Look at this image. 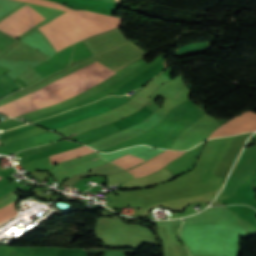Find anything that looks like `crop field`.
<instances>
[{"label": "crop field", "mask_w": 256, "mask_h": 256, "mask_svg": "<svg viewBox=\"0 0 256 256\" xmlns=\"http://www.w3.org/2000/svg\"><path fill=\"white\" fill-rule=\"evenodd\" d=\"M114 73L116 72L96 61L47 86L3 105L4 108L0 106L2 108L0 112L14 118L23 113L54 105L102 82Z\"/></svg>", "instance_id": "1"}, {"label": "crop field", "mask_w": 256, "mask_h": 256, "mask_svg": "<svg viewBox=\"0 0 256 256\" xmlns=\"http://www.w3.org/2000/svg\"><path fill=\"white\" fill-rule=\"evenodd\" d=\"M118 26L84 19L66 12L38 29L58 52L77 41Z\"/></svg>", "instance_id": "2"}, {"label": "crop field", "mask_w": 256, "mask_h": 256, "mask_svg": "<svg viewBox=\"0 0 256 256\" xmlns=\"http://www.w3.org/2000/svg\"><path fill=\"white\" fill-rule=\"evenodd\" d=\"M253 130H256V113L248 111L218 127L208 139Z\"/></svg>", "instance_id": "3"}, {"label": "crop field", "mask_w": 256, "mask_h": 256, "mask_svg": "<svg viewBox=\"0 0 256 256\" xmlns=\"http://www.w3.org/2000/svg\"><path fill=\"white\" fill-rule=\"evenodd\" d=\"M183 152L165 150L152 159L146 161V163L128 171L131 172L135 177L143 176L145 174L161 169L165 164L172 161Z\"/></svg>", "instance_id": "4"}, {"label": "crop field", "mask_w": 256, "mask_h": 256, "mask_svg": "<svg viewBox=\"0 0 256 256\" xmlns=\"http://www.w3.org/2000/svg\"><path fill=\"white\" fill-rule=\"evenodd\" d=\"M14 13H16L17 15H19L20 17H22L23 19H25L34 26L46 20L43 16L38 14L36 11L31 9L27 5ZM0 30L15 38L23 34L3 21L0 23Z\"/></svg>", "instance_id": "5"}, {"label": "crop field", "mask_w": 256, "mask_h": 256, "mask_svg": "<svg viewBox=\"0 0 256 256\" xmlns=\"http://www.w3.org/2000/svg\"><path fill=\"white\" fill-rule=\"evenodd\" d=\"M59 9L74 13L76 15H79L81 17H86V18H91L97 21H101V22H106V23H114V24H121L122 20L121 18H115V17H110V16H105V15H101L99 13H94V12H87V11H73L69 8H66L62 5L58 6Z\"/></svg>", "instance_id": "6"}, {"label": "crop field", "mask_w": 256, "mask_h": 256, "mask_svg": "<svg viewBox=\"0 0 256 256\" xmlns=\"http://www.w3.org/2000/svg\"><path fill=\"white\" fill-rule=\"evenodd\" d=\"M103 112H106V111H105L101 106H99V107H97V108L91 109V110L86 111V112L81 113V114H78V115L73 116V117H71V118H68V119H66V120L60 121V122L55 123V124L50 125V126H47V127H45V128H48V129H50V130H53V129H56V128H58V127L67 125V124H69V123H72V122L81 120V119L86 118V117L94 116V115H97V114H100V113H103Z\"/></svg>", "instance_id": "7"}, {"label": "crop field", "mask_w": 256, "mask_h": 256, "mask_svg": "<svg viewBox=\"0 0 256 256\" xmlns=\"http://www.w3.org/2000/svg\"><path fill=\"white\" fill-rule=\"evenodd\" d=\"M86 149H90V148H88L86 146H82V147L77 148V149L69 150L67 152H63V153H59V154L50 156L49 158H50V160H52V159H56V158H59V157H62V156H66V155H69V154L80 152V151H83V150H86ZM93 152H95V151L92 150V149L86 150V151H83V152H80V153H76V154L69 155V156H66V157H62V158H59V159H56V160H52L51 163L53 164V163H57V162H60V161L69 160V159L79 157V156H82V155H85V154L93 153Z\"/></svg>", "instance_id": "8"}, {"label": "crop field", "mask_w": 256, "mask_h": 256, "mask_svg": "<svg viewBox=\"0 0 256 256\" xmlns=\"http://www.w3.org/2000/svg\"><path fill=\"white\" fill-rule=\"evenodd\" d=\"M101 159V157L98 155V153H93L87 156H83L77 159H73V160H69V161H65L62 162L60 164H58L57 166L60 167L62 170L64 169H68L74 166H78L84 163H88L94 160H98Z\"/></svg>", "instance_id": "9"}, {"label": "crop field", "mask_w": 256, "mask_h": 256, "mask_svg": "<svg viewBox=\"0 0 256 256\" xmlns=\"http://www.w3.org/2000/svg\"><path fill=\"white\" fill-rule=\"evenodd\" d=\"M17 213L14 208V203L12 202L11 204L3 207L0 209V223L6 221L7 219L15 216Z\"/></svg>", "instance_id": "10"}, {"label": "crop field", "mask_w": 256, "mask_h": 256, "mask_svg": "<svg viewBox=\"0 0 256 256\" xmlns=\"http://www.w3.org/2000/svg\"><path fill=\"white\" fill-rule=\"evenodd\" d=\"M127 156H129V155H127ZM127 156H124V157H127ZM124 157H122V158H124ZM122 158L116 159V160H114V161H112V162H115V161L120 160V159H122ZM136 158H138V157H135V156L131 155V156L127 157V158H124V159H122V160H120V161L115 162V164H118L119 166H121V165H123V164H125V163H127V162H129V161H132V160H134V159H136ZM142 160H143V159L138 158V159H136V160H134V161H132V162H130V163H127V164H125V165H123V166H121V167L125 168V167H127V166H130V165L135 164V163H137V162H140V161H142Z\"/></svg>", "instance_id": "11"}, {"label": "crop field", "mask_w": 256, "mask_h": 256, "mask_svg": "<svg viewBox=\"0 0 256 256\" xmlns=\"http://www.w3.org/2000/svg\"><path fill=\"white\" fill-rule=\"evenodd\" d=\"M13 41L15 40L0 33V51L2 52Z\"/></svg>", "instance_id": "12"}, {"label": "crop field", "mask_w": 256, "mask_h": 256, "mask_svg": "<svg viewBox=\"0 0 256 256\" xmlns=\"http://www.w3.org/2000/svg\"><path fill=\"white\" fill-rule=\"evenodd\" d=\"M81 1L89 2V3H93V4H97V5H101L109 8H111L113 4L111 2L101 1V0H81Z\"/></svg>", "instance_id": "13"}, {"label": "crop field", "mask_w": 256, "mask_h": 256, "mask_svg": "<svg viewBox=\"0 0 256 256\" xmlns=\"http://www.w3.org/2000/svg\"><path fill=\"white\" fill-rule=\"evenodd\" d=\"M0 178H2V177H0Z\"/></svg>", "instance_id": "14"}]
</instances>
